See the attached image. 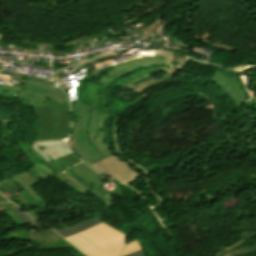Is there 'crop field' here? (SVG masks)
Instances as JSON below:
<instances>
[{"mask_svg": "<svg viewBox=\"0 0 256 256\" xmlns=\"http://www.w3.org/2000/svg\"><path fill=\"white\" fill-rule=\"evenodd\" d=\"M65 239L88 256H119L125 245V236L103 223Z\"/></svg>", "mask_w": 256, "mask_h": 256, "instance_id": "8a807250", "label": "crop field"}, {"mask_svg": "<svg viewBox=\"0 0 256 256\" xmlns=\"http://www.w3.org/2000/svg\"><path fill=\"white\" fill-rule=\"evenodd\" d=\"M39 118L38 141L61 139L67 136L70 124V107L68 102L35 108Z\"/></svg>", "mask_w": 256, "mask_h": 256, "instance_id": "ac0d7876", "label": "crop field"}, {"mask_svg": "<svg viewBox=\"0 0 256 256\" xmlns=\"http://www.w3.org/2000/svg\"><path fill=\"white\" fill-rule=\"evenodd\" d=\"M55 86L31 78L15 100L29 105V108L68 101L66 95Z\"/></svg>", "mask_w": 256, "mask_h": 256, "instance_id": "34b2d1b8", "label": "crop field"}, {"mask_svg": "<svg viewBox=\"0 0 256 256\" xmlns=\"http://www.w3.org/2000/svg\"><path fill=\"white\" fill-rule=\"evenodd\" d=\"M127 165L115 155L91 164L97 171L125 184L136 180L140 175Z\"/></svg>", "mask_w": 256, "mask_h": 256, "instance_id": "412701ff", "label": "crop field"}, {"mask_svg": "<svg viewBox=\"0 0 256 256\" xmlns=\"http://www.w3.org/2000/svg\"><path fill=\"white\" fill-rule=\"evenodd\" d=\"M78 107H79V121L73 122L68 145L77 156H79L87 164H90L98 160L91 157L89 152L86 151L87 149L86 150L84 149L82 143L79 141V138L76 134L80 121H82L85 128L88 125L87 124V120L89 118L88 109H90V107L85 102H78Z\"/></svg>", "mask_w": 256, "mask_h": 256, "instance_id": "f4fd0767", "label": "crop field"}, {"mask_svg": "<svg viewBox=\"0 0 256 256\" xmlns=\"http://www.w3.org/2000/svg\"><path fill=\"white\" fill-rule=\"evenodd\" d=\"M107 115H100L95 112L92 113L90 119V128H89V140L94 147L105 157L112 155V151L107 147L104 139L108 130H105L103 127V122L107 120ZM99 148L101 150H99Z\"/></svg>", "mask_w": 256, "mask_h": 256, "instance_id": "dd49c442", "label": "crop field"}, {"mask_svg": "<svg viewBox=\"0 0 256 256\" xmlns=\"http://www.w3.org/2000/svg\"><path fill=\"white\" fill-rule=\"evenodd\" d=\"M69 170L72 171L75 175H77L80 179H82L85 183H87L90 187H92L94 190L89 192L99 197L107 205V207L113 206L110 200L98 188L103 185L99 178L98 173L93 171L83 162L72 167Z\"/></svg>", "mask_w": 256, "mask_h": 256, "instance_id": "e52e79f7", "label": "crop field"}, {"mask_svg": "<svg viewBox=\"0 0 256 256\" xmlns=\"http://www.w3.org/2000/svg\"><path fill=\"white\" fill-rule=\"evenodd\" d=\"M32 147L36 149L48 162L71 153L64 141L39 142L35 143Z\"/></svg>", "mask_w": 256, "mask_h": 256, "instance_id": "d8731c3e", "label": "crop field"}, {"mask_svg": "<svg viewBox=\"0 0 256 256\" xmlns=\"http://www.w3.org/2000/svg\"><path fill=\"white\" fill-rule=\"evenodd\" d=\"M12 179L19 183L21 186H23L38 202L42 201L38 194L30 187L38 183V181L33 178L28 172L16 175L12 177Z\"/></svg>", "mask_w": 256, "mask_h": 256, "instance_id": "5a996713", "label": "crop field"}, {"mask_svg": "<svg viewBox=\"0 0 256 256\" xmlns=\"http://www.w3.org/2000/svg\"><path fill=\"white\" fill-rule=\"evenodd\" d=\"M162 60L163 58H143V59H138V60H132V61H128V62H125V63H122L120 65H117L115 67H113V72L105 75L104 77H102L99 81H98V85L102 84L109 76H111L112 74L124 69V68H127V67H130L132 65H135V64H143V63H162Z\"/></svg>", "mask_w": 256, "mask_h": 256, "instance_id": "3316defc", "label": "crop field"}, {"mask_svg": "<svg viewBox=\"0 0 256 256\" xmlns=\"http://www.w3.org/2000/svg\"><path fill=\"white\" fill-rule=\"evenodd\" d=\"M102 223V221H100L98 218L91 220L89 222H86L84 224H81L79 226H75V227H70V228H65V229H61V230H57L56 232L58 234H60L63 238L73 235L75 233L81 232L89 227L95 226L97 224Z\"/></svg>", "mask_w": 256, "mask_h": 256, "instance_id": "28ad6ade", "label": "crop field"}, {"mask_svg": "<svg viewBox=\"0 0 256 256\" xmlns=\"http://www.w3.org/2000/svg\"><path fill=\"white\" fill-rule=\"evenodd\" d=\"M215 76L223 79L225 82H227L231 88L238 94V96L240 97L241 101H246L248 100V98H246L243 94V92L241 91V89L239 88V84L237 83V81H235L233 78L221 73V72H217L215 74Z\"/></svg>", "mask_w": 256, "mask_h": 256, "instance_id": "d1516ede", "label": "crop field"}, {"mask_svg": "<svg viewBox=\"0 0 256 256\" xmlns=\"http://www.w3.org/2000/svg\"><path fill=\"white\" fill-rule=\"evenodd\" d=\"M210 80H212L213 82H215L216 84L221 86L223 88V90L230 95L234 104L241 103L237 94L229 87V85L227 83H225L224 81H222L214 76Z\"/></svg>", "mask_w": 256, "mask_h": 256, "instance_id": "22f410ed", "label": "crop field"}, {"mask_svg": "<svg viewBox=\"0 0 256 256\" xmlns=\"http://www.w3.org/2000/svg\"><path fill=\"white\" fill-rule=\"evenodd\" d=\"M165 13H162L158 18H156L151 24L143 27V28H139V31L141 32V34L145 37L147 34H149L153 29H155L159 24H161L162 21L160 18L164 15Z\"/></svg>", "mask_w": 256, "mask_h": 256, "instance_id": "cbeb9de0", "label": "crop field"}, {"mask_svg": "<svg viewBox=\"0 0 256 256\" xmlns=\"http://www.w3.org/2000/svg\"><path fill=\"white\" fill-rule=\"evenodd\" d=\"M142 249L141 246L139 245L138 241H134L132 243H128L126 244L124 250L122 251L121 255L120 256H123V255H126V254H129L131 252H134V251H137V250H140Z\"/></svg>", "mask_w": 256, "mask_h": 256, "instance_id": "5142ce71", "label": "crop field"}, {"mask_svg": "<svg viewBox=\"0 0 256 256\" xmlns=\"http://www.w3.org/2000/svg\"><path fill=\"white\" fill-rule=\"evenodd\" d=\"M67 165H69L70 167L81 162V160H79L77 157H75L73 155V153L67 155V156H64L61 158Z\"/></svg>", "mask_w": 256, "mask_h": 256, "instance_id": "d9b57169", "label": "crop field"}, {"mask_svg": "<svg viewBox=\"0 0 256 256\" xmlns=\"http://www.w3.org/2000/svg\"><path fill=\"white\" fill-rule=\"evenodd\" d=\"M19 218L25 223H32L34 222L25 212H23L21 209H15L13 210Z\"/></svg>", "mask_w": 256, "mask_h": 256, "instance_id": "733c2abd", "label": "crop field"}, {"mask_svg": "<svg viewBox=\"0 0 256 256\" xmlns=\"http://www.w3.org/2000/svg\"><path fill=\"white\" fill-rule=\"evenodd\" d=\"M160 53L162 54H157V57H164L163 63L172 64L174 58L176 57V54L163 53V52H160Z\"/></svg>", "mask_w": 256, "mask_h": 256, "instance_id": "4a817a6b", "label": "crop field"}, {"mask_svg": "<svg viewBox=\"0 0 256 256\" xmlns=\"http://www.w3.org/2000/svg\"><path fill=\"white\" fill-rule=\"evenodd\" d=\"M107 68H108V70H109L107 73L113 71V70L111 69V67L107 66V67H104V68H100V69L93 70L91 73L87 74V77H84V78H82V79H84V80H89L90 78L94 77V76L97 75L99 72H101V71H103V70H105V69H107ZM90 80H91V79H90Z\"/></svg>", "mask_w": 256, "mask_h": 256, "instance_id": "bc2a9ffb", "label": "crop field"}, {"mask_svg": "<svg viewBox=\"0 0 256 256\" xmlns=\"http://www.w3.org/2000/svg\"><path fill=\"white\" fill-rule=\"evenodd\" d=\"M0 88H1V91H4V92H9V93H12V94H14V93L19 94V91H16V90H13V89H10V88H7V87L0 86Z\"/></svg>", "mask_w": 256, "mask_h": 256, "instance_id": "214f88e0", "label": "crop field"}, {"mask_svg": "<svg viewBox=\"0 0 256 256\" xmlns=\"http://www.w3.org/2000/svg\"><path fill=\"white\" fill-rule=\"evenodd\" d=\"M126 256H146V255H145L144 250L142 249V250H140V251H137V252L131 253V254L126 255Z\"/></svg>", "mask_w": 256, "mask_h": 256, "instance_id": "92a150f3", "label": "crop field"}, {"mask_svg": "<svg viewBox=\"0 0 256 256\" xmlns=\"http://www.w3.org/2000/svg\"><path fill=\"white\" fill-rule=\"evenodd\" d=\"M99 92H100L99 96H101L104 99L103 105H106V103H105L106 97H105L104 87L101 86V90Z\"/></svg>", "mask_w": 256, "mask_h": 256, "instance_id": "dafd665d", "label": "crop field"}, {"mask_svg": "<svg viewBox=\"0 0 256 256\" xmlns=\"http://www.w3.org/2000/svg\"><path fill=\"white\" fill-rule=\"evenodd\" d=\"M86 60H88V59H82L80 61L72 62L71 64L74 65V64H77V63H83Z\"/></svg>", "mask_w": 256, "mask_h": 256, "instance_id": "00972430", "label": "crop field"}, {"mask_svg": "<svg viewBox=\"0 0 256 256\" xmlns=\"http://www.w3.org/2000/svg\"><path fill=\"white\" fill-rule=\"evenodd\" d=\"M22 78L27 79V80H29V79H30V77H27V76H24V77H22Z\"/></svg>", "mask_w": 256, "mask_h": 256, "instance_id": "a9b5d70f", "label": "crop field"}]
</instances>
